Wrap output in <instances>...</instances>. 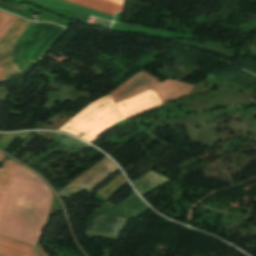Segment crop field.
I'll return each instance as SVG.
<instances>
[{"label":"crop field","instance_id":"733c2abd","mask_svg":"<svg viewBox=\"0 0 256 256\" xmlns=\"http://www.w3.org/2000/svg\"><path fill=\"white\" fill-rule=\"evenodd\" d=\"M4 155L0 153V161L3 160Z\"/></svg>","mask_w":256,"mask_h":256},{"label":"crop field","instance_id":"cbeb9de0","mask_svg":"<svg viewBox=\"0 0 256 256\" xmlns=\"http://www.w3.org/2000/svg\"><path fill=\"white\" fill-rule=\"evenodd\" d=\"M69 119L70 118L63 116L57 122H55L52 126L44 124L40 129L57 130L61 125H63Z\"/></svg>","mask_w":256,"mask_h":256},{"label":"crop field","instance_id":"d1516ede","mask_svg":"<svg viewBox=\"0 0 256 256\" xmlns=\"http://www.w3.org/2000/svg\"><path fill=\"white\" fill-rule=\"evenodd\" d=\"M16 16L6 14L2 11H0V41L3 37V35L6 33V31L9 29V27L13 24V22L16 20ZM7 80V77L3 71V69L0 67V82Z\"/></svg>","mask_w":256,"mask_h":256},{"label":"crop field","instance_id":"ac0d7876","mask_svg":"<svg viewBox=\"0 0 256 256\" xmlns=\"http://www.w3.org/2000/svg\"><path fill=\"white\" fill-rule=\"evenodd\" d=\"M161 101L152 88L116 104L107 95L90 104L60 130L91 142L110 125L158 106Z\"/></svg>","mask_w":256,"mask_h":256},{"label":"crop field","instance_id":"22f410ed","mask_svg":"<svg viewBox=\"0 0 256 256\" xmlns=\"http://www.w3.org/2000/svg\"><path fill=\"white\" fill-rule=\"evenodd\" d=\"M21 133L16 134H4L0 139V148L6 150L8 146L20 135Z\"/></svg>","mask_w":256,"mask_h":256},{"label":"crop field","instance_id":"4a817a6b","mask_svg":"<svg viewBox=\"0 0 256 256\" xmlns=\"http://www.w3.org/2000/svg\"><path fill=\"white\" fill-rule=\"evenodd\" d=\"M1 256V255H0Z\"/></svg>","mask_w":256,"mask_h":256},{"label":"crop field","instance_id":"dd49c442","mask_svg":"<svg viewBox=\"0 0 256 256\" xmlns=\"http://www.w3.org/2000/svg\"><path fill=\"white\" fill-rule=\"evenodd\" d=\"M100 210L122 217L139 218L150 208L133 192L117 206L108 201Z\"/></svg>","mask_w":256,"mask_h":256},{"label":"crop field","instance_id":"d8731c3e","mask_svg":"<svg viewBox=\"0 0 256 256\" xmlns=\"http://www.w3.org/2000/svg\"><path fill=\"white\" fill-rule=\"evenodd\" d=\"M169 179L163 175L157 174L154 171H149L135 181L131 182L136 190L143 196L150 191L156 189Z\"/></svg>","mask_w":256,"mask_h":256},{"label":"crop field","instance_id":"5a996713","mask_svg":"<svg viewBox=\"0 0 256 256\" xmlns=\"http://www.w3.org/2000/svg\"><path fill=\"white\" fill-rule=\"evenodd\" d=\"M64 1L74 3V4H77V5L86 7V8H90V9H93V10H96V11H99L102 13L112 15V16L114 15V13L122 10L121 6L123 4V0H105V1L112 2L115 4L121 5V6H118V5H115L112 3H108V2H105L102 0H64Z\"/></svg>","mask_w":256,"mask_h":256},{"label":"crop field","instance_id":"8a807250","mask_svg":"<svg viewBox=\"0 0 256 256\" xmlns=\"http://www.w3.org/2000/svg\"><path fill=\"white\" fill-rule=\"evenodd\" d=\"M52 193L33 173L16 164L0 218V234L35 245Z\"/></svg>","mask_w":256,"mask_h":256},{"label":"crop field","instance_id":"d9b57169","mask_svg":"<svg viewBox=\"0 0 256 256\" xmlns=\"http://www.w3.org/2000/svg\"><path fill=\"white\" fill-rule=\"evenodd\" d=\"M37 248H38V250H39L41 256H47V254H46V252H45V250H44V248H43V246H42L41 244H39V245L37 246Z\"/></svg>","mask_w":256,"mask_h":256},{"label":"crop field","instance_id":"34b2d1b8","mask_svg":"<svg viewBox=\"0 0 256 256\" xmlns=\"http://www.w3.org/2000/svg\"><path fill=\"white\" fill-rule=\"evenodd\" d=\"M150 87L153 88L157 96L165 103L176 98L187 96L192 85L170 79L161 82L142 70L135 77L110 94L116 103Z\"/></svg>","mask_w":256,"mask_h":256},{"label":"crop field","instance_id":"412701ff","mask_svg":"<svg viewBox=\"0 0 256 256\" xmlns=\"http://www.w3.org/2000/svg\"><path fill=\"white\" fill-rule=\"evenodd\" d=\"M29 23L30 21H26L18 17L12 27L5 34L0 44V65L4 69L8 79L18 73L17 68L11 59V52L16 39Z\"/></svg>","mask_w":256,"mask_h":256},{"label":"crop field","instance_id":"f4fd0767","mask_svg":"<svg viewBox=\"0 0 256 256\" xmlns=\"http://www.w3.org/2000/svg\"><path fill=\"white\" fill-rule=\"evenodd\" d=\"M118 170L117 166L107 157L100 161L98 164L78 176L67 187H80L91 190L95 187L100 181L111 173Z\"/></svg>","mask_w":256,"mask_h":256},{"label":"crop field","instance_id":"28ad6ade","mask_svg":"<svg viewBox=\"0 0 256 256\" xmlns=\"http://www.w3.org/2000/svg\"><path fill=\"white\" fill-rule=\"evenodd\" d=\"M15 162L5 161L2 170H0V214L5 201V197L8 191V187L11 181V177L14 171Z\"/></svg>","mask_w":256,"mask_h":256},{"label":"crop field","instance_id":"3316defc","mask_svg":"<svg viewBox=\"0 0 256 256\" xmlns=\"http://www.w3.org/2000/svg\"><path fill=\"white\" fill-rule=\"evenodd\" d=\"M31 1H34L41 5H45V6L65 10V11L86 13V14L97 16V17L109 19V20L113 19L112 16L102 14V13H99V12H96V11H93L90 9H86V8H83V7L74 5V4H70V3H67V2H64L61 0H31Z\"/></svg>","mask_w":256,"mask_h":256},{"label":"crop field","instance_id":"e52e79f7","mask_svg":"<svg viewBox=\"0 0 256 256\" xmlns=\"http://www.w3.org/2000/svg\"><path fill=\"white\" fill-rule=\"evenodd\" d=\"M0 254L4 256H38L34 247L0 236Z\"/></svg>","mask_w":256,"mask_h":256},{"label":"crop field","instance_id":"5142ce71","mask_svg":"<svg viewBox=\"0 0 256 256\" xmlns=\"http://www.w3.org/2000/svg\"><path fill=\"white\" fill-rule=\"evenodd\" d=\"M79 191H81V190L80 189H66V190H62L58 193H59L60 197L69 198L70 195L75 194Z\"/></svg>","mask_w":256,"mask_h":256}]
</instances>
